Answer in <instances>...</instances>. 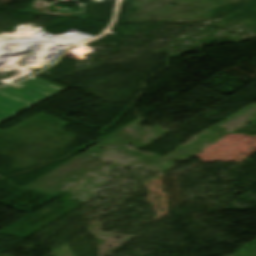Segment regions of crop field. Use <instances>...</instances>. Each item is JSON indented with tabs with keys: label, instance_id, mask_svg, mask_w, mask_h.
<instances>
[{
	"label": "crop field",
	"instance_id": "crop-field-1",
	"mask_svg": "<svg viewBox=\"0 0 256 256\" xmlns=\"http://www.w3.org/2000/svg\"><path fill=\"white\" fill-rule=\"evenodd\" d=\"M65 89L36 76L0 88V122Z\"/></svg>",
	"mask_w": 256,
	"mask_h": 256
}]
</instances>
